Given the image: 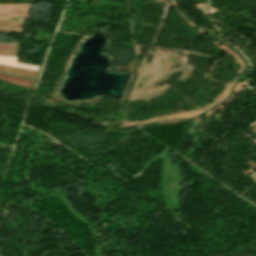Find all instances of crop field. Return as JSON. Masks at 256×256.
<instances>
[{"label": "crop field", "mask_w": 256, "mask_h": 256, "mask_svg": "<svg viewBox=\"0 0 256 256\" xmlns=\"http://www.w3.org/2000/svg\"><path fill=\"white\" fill-rule=\"evenodd\" d=\"M24 23L0 22V32H20Z\"/></svg>", "instance_id": "crop-field-1"}, {"label": "crop field", "mask_w": 256, "mask_h": 256, "mask_svg": "<svg viewBox=\"0 0 256 256\" xmlns=\"http://www.w3.org/2000/svg\"><path fill=\"white\" fill-rule=\"evenodd\" d=\"M16 58L0 56V64L12 65L36 70L38 66L14 63Z\"/></svg>", "instance_id": "crop-field-2"}]
</instances>
